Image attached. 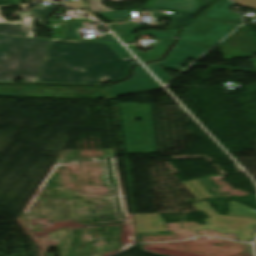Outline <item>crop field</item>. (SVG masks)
Listing matches in <instances>:
<instances>
[{"instance_id": "13", "label": "crop field", "mask_w": 256, "mask_h": 256, "mask_svg": "<svg viewBox=\"0 0 256 256\" xmlns=\"http://www.w3.org/2000/svg\"><path fill=\"white\" fill-rule=\"evenodd\" d=\"M100 1L101 0H88L89 4H86L85 0H76L74 2H71L69 4H65V5L73 7L75 9H77V10L90 8L93 13L111 11L109 9L104 8L100 4ZM113 1L114 2H122V1H128V0H113Z\"/></svg>"}, {"instance_id": "17", "label": "crop field", "mask_w": 256, "mask_h": 256, "mask_svg": "<svg viewBox=\"0 0 256 256\" xmlns=\"http://www.w3.org/2000/svg\"><path fill=\"white\" fill-rule=\"evenodd\" d=\"M57 17L55 15H53L52 17H50L47 21V23H51V24H55L57 25V27L59 26L60 28H55L54 33H53V37L52 38H58V39H62L63 36V30H64V24H65V20L60 19L61 17H59V19L56 21ZM72 21H86V22H92L91 19H73Z\"/></svg>"}, {"instance_id": "8", "label": "crop field", "mask_w": 256, "mask_h": 256, "mask_svg": "<svg viewBox=\"0 0 256 256\" xmlns=\"http://www.w3.org/2000/svg\"><path fill=\"white\" fill-rule=\"evenodd\" d=\"M242 30L233 32L230 37L219 43L224 58L252 56L256 53V40L247 26ZM246 42V44H244ZM243 46L242 48L240 46Z\"/></svg>"}, {"instance_id": "16", "label": "crop field", "mask_w": 256, "mask_h": 256, "mask_svg": "<svg viewBox=\"0 0 256 256\" xmlns=\"http://www.w3.org/2000/svg\"><path fill=\"white\" fill-rule=\"evenodd\" d=\"M205 198H202L190 185L187 181L182 182V184L197 198V199H206L214 197L200 182L197 180L189 181Z\"/></svg>"}, {"instance_id": "7", "label": "crop field", "mask_w": 256, "mask_h": 256, "mask_svg": "<svg viewBox=\"0 0 256 256\" xmlns=\"http://www.w3.org/2000/svg\"><path fill=\"white\" fill-rule=\"evenodd\" d=\"M206 50L207 49H203L197 46H193V45L178 41L173 46L169 55L164 60H162L161 62L147 64V66L154 71L157 78L162 83H165L171 78L163 72V70L160 68L161 65L171 67L181 71L183 69L182 64L186 60V58L195 59Z\"/></svg>"}, {"instance_id": "10", "label": "crop field", "mask_w": 256, "mask_h": 256, "mask_svg": "<svg viewBox=\"0 0 256 256\" xmlns=\"http://www.w3.org/2000/svg\"><path fill=\"white\" fill-rule=\"evenodd\" d=\"M137 233L168 231L159 214L135 215Z\"/></svg>"}, {"instance_id": "3", "label": "crop field", "mask_w": 256, "mask_h": 256, "mask_svg": "<svg viewBox=\"0 0 256 256\" xmlns=\"http://www.w3.org/2000/svg\"><path fill=\"white\" fill-rule=\"evenodd\" d=\"M229 6H231L229 0H216L197 18L241 24L239 13L230 12ZM197 18L183 30L178 40L209 49L237 27L231 24L201 21Z\"/></svg>"}, {"instance_id": "11", "label": "crop field", "mask_w": 256, "mask_h": 256, "mask_svg": "<svg viewBox=\"0 0 256 256\" xmlns=\"http://www.w3.org/2000/svg\"><path fill=\"white\" fill-rule=\"evenodd\" d=\"M154 7L196 13L202 6L196 0H157Z\"/></svg>"}, {"instance_id": "9", "label": "crop field", "mask_w": 256, "mask_h": 256, "mask_svg": "<svg viewBox=\"0 0 256 256\" xmlns=\"http://www.w3.org/2000/svg\"><path fill=\"white\" fill-rule=\"evenodd\" d=\"M159 84L148 76L140 66L133 68L130 79L106 87L112 96L159 88Z\"/></svg>"}, {"instance_id": "24", "label": "crop field", "mask_w": 256, "mask_h": 256, "mask_svg": "<svg viewBox=\"0 0 256 256\" xmlns=\"http://www.w3.org/2000/svg\"><path fill=\"white\" fill-rule=\"evenodd\" d=\"M0 15H1V13H0Z\"/></svg>"}, {"instance_id": "23", "label": "crop field", "mask_w": 256, "mask_h": 256, "mask_svg": "<svg viewBox=\"0 0 256 256\" xmlns=\"http://www.w3.org/2000/svg\"><path fill=\"white\" fill-rule=\"evenodd\" d=\"M203 4L205 5L209 0H201Z\"/></svg>"}, {"instance_id": "2", "label": "crop field", "mask_w": 256, "mask_h": 256, "mask_svg": "<svg viewBox=\"0 0 256 256\" xmlns=\"http://www.w3.org/2000/svg\"><path fill=\"white\" fill-rule=\"evenodd\" d=\"M50 42L34 37L15 36L2 67L0 81H12L14 77H18L25 82H36Z\"/></svg>"}, {"instance_id": "6", "label": "crop field", "mask_w": 256, "mask_h": 256, "mask_svg": "<svg viewBox=\"0 0 256 256\" xmlns=\"http://www.w3.org/2000/svg\"><path fill=\"white\" fill-rule=\"evenodd\" d=\"M3 97H80L95 98L108 97L109 95L102 88L91 87H62V86H27L23 89L1 90Z\"/></svg>"}, {"instance_id": "5", "label": "crop field", "mask_w": 256, "mask_h": 256, "mask_svg": "<svg viewBox=\"0 0 256 256\" xmlns=\"http://www.w3.org/2000/svg\"><path fill=\"white\" fill-rule=\"evenodd\" d=\"M194 206L200 212H205L210 219H205L206 224L204 225L189 228L191 231L212 229L220 233L234 232L240 240L252 238V227L256 224V219L217 215L206 201Z\"/></svg>"}, {"instance_id": "22", "label": "crop field", "mask_w": 256, "mask_h": 256, "mask_svg": "<svg viewBox=\"0 0 256 256\" xmlns=\"http://www.w3.org/2000/svg\"><path fill=\"white\" fill-rule=\"evenodd\" d=\"M252 63L254 64L255 68H256V58L251 59Z\"/></svg>"}, {"instance_id": "4", "label": "crop field", "mask_w": 256, "mask_h": 256, "mask_svg": "<svg viewBox=\"0 0 256 256\" xmlns=\"http://www.w3.org/2000/svg\"><path fill=\"white\" fill-rule=\"evenodd\" d=\"M119 108L126 153H156L150 104H119Z\"/></svg>"}, {"instance_id": "18", "label": "crop field", "mask_w": 256, "mask_h": 256, "mask_svg": "<svg viewBox=\"0 0 256 256\" xmlns=\"http://www.w3.org/2000/svg\"><path fill=\"white\" fill-rule=\"evenodd\" d=\"M14 36L0 35V70Z\"/></svg>"}, {"instance_id": "21", "label": "crop field", "mask_w": 256, "mask_h": 256, "mask_svg": "<svg viewBox=\"0 0 256 256\" xmlns=\"http://www.w3.org/2000/svg\"><path fill=\"white\" fill-rule=\"evenodd\" d=\"M19 3L17 0H0V5Z\"/></svg>"}, {"instance_id": "15", "label": "crop field", "mask_w": 256, "mask_h": 256, "mask_svg": "<svg viewBox=\"0 0 256 256\" xmlns=\"http://www.w3.org/2000/svg\"><path fill=\"white\" fill-rule=\"evenodd\" d=\"M231 215L256 217V211L246 207L243 204L230 201L228 213Z\"/></svg>"}, {"instance_id": "20", "label": "crop field", "mask_w": 256, "mask_h": 256, "mask_svg": "<svg viewBox=\"0 0 256 256\" xmlns=\"http://www.w3.org/2000/svg\"><path fill=\"white\" fill-rule=\"evenodd\" d=\"M235 4L256 8V0H233Z\"/></svg>"}, {"instance_id": "1", "label": "crop field", "mask_w": 256, "mask_h": 256, "mask_svg": "<svg viewBox=\"0 0 256 256\" xmlns=\"http://www.w3.org/2000/svg\"><path fill=\"white\" fill-rule=\"evenodd\" d=\"M128 66L107 44L52 39L37 82L98 84L125 77Z\"/></svg>"}, {"instance_id": "12", "label": "crop field", "mask_w": 256, "mask_h": 256, "mask_svg": "<svg viewBox=\"0 0 256 256\" xmlns=\"http://www.w3.org/2000/svg\"><path fill=\"white\" fill-rule=\"evenodd\" d=\"M0 34L30 36L31 21L0 23Z\"/></svg>"}, {"instance_id": "19", "label": "crop field", "mask_w": 256, "mask_h": 256, "mask_svg": "<svg viewBox=\"0 0 256 256\" xmlns=\"http://www.w3.org/2000/svg\"><path fill=\"white\" fill-rule=\"evenodd\" d=\"M121 58L131 57L126 50L119 44H108Z\"/></svg>"}, {"instance_id": "14", "label": "crop field", "mask_w": 256, "mask_h": 256, "mask_svg": "<svg viewBox=\"0 0 256 256\" xmlns=\"http://www.w3.org/2000/svg\"><path fill=\"white\" fill-rule=\"evenodd\" d=\"M56 6H57V4H54L53 6H48L46 8H42L38 5V6L34 7L33 9H31L30 11L27 10L28 12L19 14V16L25 17V16L35 14L32 17L39 22H43L45 20V18L53 11V9Z\"/></svg>"}]
</instances>
